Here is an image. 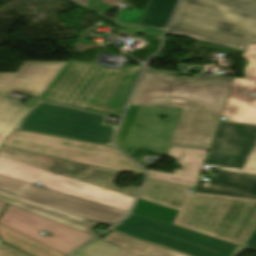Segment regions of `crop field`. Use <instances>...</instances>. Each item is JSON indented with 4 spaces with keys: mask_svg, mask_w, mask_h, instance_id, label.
Returning <instances> with one entry per match:
<instances>
[{
    "mask_svg": "<svg viewBox=\"0 0 256 256\" xmlns=\"http://www.w3.org/2000/svg\"><path fill=\"white\" fill-rule=\"evenodd\" d=\"M118 25H119V27L124 28V29L148 32V33L159 34V35H162L164 32V31H161L160 29H155V28L131 26V25H126V24H121V23H118Z\"/></svg>",
    "mask_w": 256,
    "mask_h": 256,
    "instance_id": "crop-field-27",
    "label": "crop field"
},
{
    "mask_svg": "<svg viewBox=\"0 0 256 256\" xmlns=\"http://www.w3.org/2000/svg\"><path fill=\"white\" fill-rule=\"evenodd\" d=\"M188 190L147 180L139 198L179 210L172 225L241 246L256 222V199Z\"/></svg>",
    "mask_w": 256,
    "mask_h": 256,
    "instance_id": "crop-field-2",
    "label": "crop field"
},
{
    "mask_svg": "<svg viewBox=\"0 0 256 256\" xmlns=\"http://www.w3.org/2000/svg\"><path fill=\"white\" fill-rule=\"evenodd\" d=\"M2 145L95 167L143 175L140 167L113 147L17 130Z\"/></svg>",
    "mask_w": 256,
    "mask_h": 256,
    "instance_id": "crop-field-7",
    "label": "crop field"
},
{
    "mask_svg": "<svg viewBox=\"0 0 256 256\" xmlns=\"http://www.w3.org/2000/svg\"><path fill=\"white\" fill-rule=\"evenodd\" d=\"M0 238L2 241L33 256H66L2 225H0Z\"/></svg>",
    "mask_w": 256,
    "mask_h": 256,
    "instance_id": "crop-field-19",
    "label": "crop field"
},
{
    "mask_svg": "<svg viewBox=\"0 0 256 256\" xmlns=\"http://www.w3.org/2000/svg\"><path fill=\"white\" fill-rule=\"evenodd\" d=\"M248 63L244 79L234 78L220 116L229 121L256 124V44H248L241 55Z\"/></svg>",
    "mask_w": 256,
    "mask_h": 256,
    "instance_id": "crop-field-13",
    "label": "crop field"
},
{
    "mask_svg": "<svg viewBox=\"0 0 256 256\" xmlns=\"http://www.w3.org/2000/svg\"><path fill=\"white\" fill-rule=\"evenodd\" d=\"M120 251L119 247L95 239L72 256H117Z\"/></svg>",
    "mask_w": 256,
    "mask_h": 256,
    "instance_id": "crop-field-22",
    "label": "crop field"
},
{
    "mask_svg": "<svg viewBox=\"0 0 256 256\" xmlns=\"http://www.w3.org/2000/svg\"><path fill=\"white\" fill-rule=\"evenodd\" d=\"M107 118L106 115L38 102L16 129L111 146L117 126L104 125Z\"/></svg>",
    "mask_w": 256,
    "mask_h": 256,
    "instance_id": "crop-field-6",
    "label": "crop field"
},
{
    "mask_svg": "<svg viewBox=\"0 0 256 256\" xmlns=\"http://www.w3.org/2000/svg\"><path fill=\"white\" fill-rule=\"evenodd\" d=\"M233 78L184 77L145 67L116 136L118 147L166 154L169 146L208 149ZM159 115L172 117L161 123Z\"/></svg>",
    "mask_w": 256,
    "mask_h": 256,
    "instance_id": "crop-field-1",
    "label": "crop field"
},
{
    "mask_svg": "<svg viewBox=\"0 0 256 256\" xmlns=\"http://www.w3.org/2000/svg\"><path fill=\"white\" fill-rule=\"evenodd\" d=\"M110 230L191 256H234L239 246L130 213Z\"/></svg>",
    "mask_w": 256,
    "mask_h": 256,
    "instance_id": "crop-field-8",
    "label": "crop field"
},
{
    "mask_svg": "<svg viewBox=\"0 0 256 256\" xmlns=\"http://www.w3.org/2000/svg\"><path fill=\"white\" fill-rule=\"evenodd\" d=\"M0 224L54 248L66 255L90 240L94 235L51 221L8 205ZM46 230L54 237H45Z\"/></svg>",
    "mask_w": 256,
    "mask_h": 256,
    "instance_id": "crop-field-10",
    "label": "crop field"
},
{
    "mask_svg": "<svg viewBox=\"0 0 256 256\" xmlns=\"http://www.w3.org/2000/svg\"><path fill=\"white\" fill-rule=\"evenodd\" d=\"M206 164L220 167L196 191L256 198V125L220 121Z\"/></svg>",
    "mask_w": 256,
    "mask_h": 256,
    "instance_id": "crop-field-5",
    "label": "crop field"
},
{
    "mask_svg": "<svg viewBox=\"0 0 256 256\" xmlns=\"http://www.w3.org/2000/svg\"><path fill=\"white\" fill-rule=\"evenodd\" d=\"M144 10H138L137 12L121 10L119 21L126 23L137 24Z\"/></svg>",
    "mask_w": 256,
    "mask_h": 256,
    "instance_id": "crop-field-24",
    "label": "crop field"
},
{
    "mask_svg": "<svg viewBox=\"0 0 256 256\" xmlns=\"http://www.w3.org/2000/svg\"><path fill=\"white\" fill-rule=\"evenodd\" d=\"M77 1H79V2H80L81 4H83L84 6H87L89 0H77Z\"/></svg>",
    "mask_w": 256,
    "mask_h": 256,
    "instance_id": "crop-field-29",
    "label": "crop field"
},
{
    "mask_svg": "<svg viewBox=\"0 0 256 256\" xmlns=\"http://www.w3.org/2000/svg\"><path fill=\"white\" fill-rule=\"evenodd\" d=\"M0 201L18 207L20 209L29 211L31 213L49 218L51 220L66 224L68 226L86 231L96 235L97 233L89 231L98 223L17 197L3 192H0Z\"/></svg>",
    "mask_w": 256,
    "mask_h": 256,
    "instance_id": "crop-field-16",
    "label": "crop field"
},
{
    "mask_svg": "<svg viewBox=\"0 0 256 256\" xmlns=\"http://www.w3.org/2000/svg\"><path fill=\"white\" fill-rule=\"evenodd\" d=\"M0 190L106 225L127 213L1 175Z\"/></svg>",
    "mask_w": 256,
    "mask_h": 256,
    "instance_id": "crop-field-9",
    "label": "crop field"
},
{
    "mask_svg": "<svg viewBox=\"0 0 256 256\" xmlns=\"http://www.w3.org/2000/svg\"><path fill=\"white\" fill-rule=\"evenodd\" d=\"M208 150L170 147L168 156L175 159L181 169L173 174L147 169L148 177L194 187Z\"/></svg>",
    "mask_w": 256,
    "mask_h": 256,
    "instance_id": "crop-field-15",
    "label": "crop field"
},
{
    "mask_svg": "<svg viewBox=\"0 0 256 256\" xmlns=\"http://www.w3.org/2000/svg\"><path fill=\"white\" fill-rule=\"evenodd\" d=\"M244 247H249V248H255L256 249V227L253 230L252 234L244 244Z\"/></svg>",
    "mask_w": 256,
    "mask_h": 256,
    "instance_id": "crop-field-28",
    "label": "crop field"
},
{
    "mask_svg": "<svg viewBox=\"0 0 256 256\" xmlns=\"http://www.w3.org/2000/svg\"><path fill=\"white\" fill-rule=\"evenodd\" d=\"M65 63L25 62L16 74L0 73V93L18 92L40 98Z\"/></svg>",
    "mask_w": 256,
    "mask_h": 256,
    "instance_id": "crop-field-14",
    "label": "crop field"
},
{
    "mask_svg": "<svg viewBox=\"0 0 256 256\" xmlns=\"http://www.w3.org/2000/svg\"><path fill=\"white\" fill-rule=\"evenodd\" d=\"M132 213L171 224L177 210L138 199Z\"/></svg>",
    "mask_w": 256,
    "mask_h": 256,
    "instance_id": "crop-field-21",
    "label": "crop field"
},
{
    "mask_svg": "<svg viewBox=\"0 0 256 256\" xmlns=\"http://www.w3.org/2000/svg\"><path fill=\"white\" fill-rule=\"evenodd\" d=\"M4 206H5V203L0 202V213H1L2 209L4 208Z\"/></svg>",
    "mask_w": 256,
    "mask_h": 256,
    "instance_id": "crop-field-30",
    "label": "crop field"
},
{
    "mask_svg": "<svg viewBox=\"0 0 256 256\" xmlns=\"http://www.w3.org/2000/svg\"><path fill=\"white\" fill-rule=\"evenodd\" d=\"M0 256H28L6 244L0 243Z\"/></svg>",
    "mask_w": 256,
    "mask_h": 256,
    "instance_id": "crop-field-26",
    "label": "crop field"
},
{
    "mask_svg": "<svg viewBox=\"0 0 256 256\" xmlns=\"http://www.w3.org/2000/svg\"><path fill=\"white\" fill-rule=\"evenodd\" d=\"M141 68L111 69L69 60L40 99L121 116Z\"/></svg>",
    "mask_w": 256,
    "mask_h": 256,
    "instance_id": "crop-field-3",
    "label": "crop field"
},
{
    "mask_svg": "<svg viewBox=\"0 0 256 256\" xmlns=\"http://www.w3.org/2000/svg\"><path fill=\"white\" fill-rule=\"evenodd\" d=\"M0 156L134 197H136L140 188L129 187L119 189L114 186L112 181L119 172L81 165L3 146H0Z\"/></svg>",
    "mask_w": 256,
    "mask_h": 256,
    "instance_id": "crop-field-11",
    "label": "crop field"
},
{
    "mask_svg": "<svg viewBox=\"0 0 256 256\" xmlns=\"http://www.w3.org/2000/svg\"><path fill=\"white\" fill-rule=\"evenodd\" d=\"M122 249L118 256H188L117 233H110L102 239Z\"/></svg>",
    "mask_w": 256,
    "mask_h": 256,
    "instance_id": "crop-field-17",
    "label": "crop field"
},
{
    "mask_svg": "<svg viewBox=\"0 0 256 256\" xmlns=\"http://www.w3.org/2000/svg\"><path fill=\"white\" fill-rule=\"evenodd\" d=\"M0 95V145L16 128L30 109L17 101Z\"/></svg>",
    "mask_w": 256,
    "mask_h": 256,
    "instance_id": "crop-field-18",
    "label": "crop field"
},
{
    "mask_svg": "<svg viewBox=\"0 0 256 256\" xmlns=\"http://www.w3.org/2000/svg\"><path fill=\"white\" fill-rule=\"evenodd\" d=\"M167 34L243 50L256 42V0H182Z\"/></svg>",
    "mask_w": 256,
    "mask_h": 256,
    "instance_id": "crop-field-4",
    "label": "crop field"
},
{
    "mask_svg": "<svg viewBox=\"0 0 256 256\" xmlns=\"http://www.w3.org/2000/svg\"><path fill=\"white\" fill-rule=\"evenodd\" d=\"M0 174L4 175V176L11 177V178H14V179H18V180H21V181H25V182H28V183H32V184L40 181L43 178V177H39V176L32 175V174H29V173H25V172H22V171H18V170H15V169H11V168H8V167H4V166H1V165H0Z\"/></svg>",
    "mask_w": 256,
    "mask_h": 256,
    "instance_id": "crop-field-23",
    "label": "crop field"
},
{
    "mask_svg": "<svg viewBox=\"0 0 256 256\" xmlns=\"http://www.w3.org/2000/svg\"><path fill=\"white\" fill-rule=\"evenodd\" d=\"M177 0H149L138 24L165 28Z\"/></svg>",
    "mask_w": 256,
    "mask_h": 256,
    "instance_id": "crop-field-20",
    "label": "crop field"
},
{
    "mask_svg": "<svg viewBox=\"0 0 256 256\" xmlns=\"http://www.w3.org/2000/svg\"><path fill=\"white\" fill-rule=\"evenodd\" d=\"M88 7L101 13V14H104V13L114 9L113 7L101 2V0H90Z\"/></svg>",
    "mask_w": 256,
    "mask_h": 256,
    "instance_id": "crop-field-25",
    "label": "crop field"
},
{
    "mask_svg": "<svg viewBox=\"0 0 256 256\" xmlns=\"http://www.w3.org/2000/svg\"><path fill=\"white\" fill-rule=\"evenodd\" d=\"M0 164L45 177L39 182L43 184L44 188L66 193L122 210L128 211L135 199L134 197L96 187L3 157H0Z\"/></svg>",
    "mask_w": 256,
    "mask_h": 256,
    "instance_id": "crop-field-12",
    "label": "crop field"
}]
</instances>
